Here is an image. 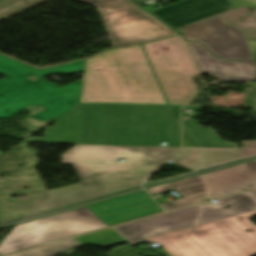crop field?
Instances as JSON below:
<instances>
[{"label": "crop field", "mask_w": 256, "mask_h": 256, "mask_svg": "<svg viewBox=\"0 0 256 256\" xmlns=\"http://www.w3.org/2000/svg\"><path fill=\"white\" fill-rule=\"evenodd\" d=\"M177 123L168 106L80 104L23 143L180 146Z\"/></svg>", "instance_id": "obj_1"}, {"label": "crop field", "mask_w": 256, "mask_h": 256, "mask_svg": "<svg viewBox=\"0 0 256 256\" xmlns=\"http://www.w3.org/2000/svg\"><path fill=\"white\" fill-rule=\"evenodd\" d=\"M180 155V147L76 145L62 154V164H72L80 182L46 192L29 211L33 215L138 187L163 162Z\"/></svg>", "instance_id": "obj_2"}, {"label": "crop field", "mask_w": 256, "mask_h": 256, "mask_svg": "<svg viewBox=\"0 0 256 256\" xmlns=\"http://www.w3.org/2000/svg\"><path fill=\"white\" fill-rule=\"evenodd\" d=\"M80 102L167 104L140 44L85 60Z\"/></svg>", "instance_id": "obj_3"}, {"label": "crop field", "mask_w": 256, "mask_h": 256, "mask_svg": "<svg viewBox=\"0 0 256 256\" xmlns=\"http://www.w3.org/2000/svg\"><path fill=\"white\" fill-rule=\"evenodd\" d=\"M83 66L84 61H79L38 71L0 55V73L8 76L0 80V119L18 115L19 110L30 105L46 109L31 116L38 120L63 115L79 104L82 79L60 88L55 83H48L43 76L54 73L70 75L82 72ZM32 75L38 76L39 81L27 80Z\"/></svg>", "instance_id": "obj_4"}, {"label": "crop field", "mask_w": 256, "mask_h": 256, "mask_svg": "<svg viewBox=\"0 0 256 256\" xmlns=\"http://www.w3.org/2000/svg\"><path fill=\"white\" fill-rule=\"evenodd\" d=\"M252 215L256 211L145 241H156L172 256H254L256 226L248 220Z\"/></svg>", "instance_id": "obj_5"}, {"label": "crop field", "mask_w": 256, "mask_h": 256, "mask_svg": "<svg viewBox=\"0 0 256 256\" xmlns=\"http://www.w3.org/2000/svg\"><path fill=\"white\" fill-rule=\"evenodd\" d=\"M169 104L185 105L198 91L199 72L181 35L142 44Z\"/></svg>", "instance_id": "obj_6"}, {"label": "crop field", "mask_w": 256, "mask_h": 256, "mask_svg": "<svg viewBox=\"0 0 256 256\" xmlns=\"http://www.w3.org/2000/svg\"><path fill=\"white\" fill-rule=\"evenodd\" d=\"M107 227L85 207L18 224L0 243V254Z\"/></svg>", "instance_id": "obj_7"}, {"label": "crop field", "mask_w": 256, "mask_h": 256, "mask_svg": "<svg viewBox=\"0 0 256 256\" xmlns=\"http://www.w3.org/2000/svg\"><path fill=\"white\" fill-rule=\"evenodd\" d=\"M82 1L99 8L115 48L177 35L129 0Z\"/></svg>", "instance_id": "obj_8"}, {"label": "crop field", "mask_w": 256, "mask_h": 256, "mask_svg": "<svg viewBox=\"0 0 256 256\" xmlns=\"http://www.w3.org/2000/svg\"><path fill=\"white\" fill-rule=\"evenodd\" d=\"M181 29L185 39L200 41L220 59L246 60L253 57L241 29L222 23L218 15Z\"/></svg>", "instance_id": "obj_9"}, {"label": "crop field", "mask_w": 256, "mask_h": 256, "mask_svg": "<svg viewBox=\"0 0 256 256\" xmlns=\"http://www.w3.org/2000/svg\"><path fill=\"white\" fill-rule=\"evenodd\" d=\"M202 205L115 227L114 229L130 243L152 236L181 230L195 225Z\"/></svg>", "instance_id": "obj_10"}, {"label": "crop field", "mask_w": 256, "mask_h": 256, "mask_svg": "<svg viewBox=\"0 0 256 256\" xmlns=\"http://www.w3.org/2000/svg\"><path fill=\"white\" fill-rule=\"evenodd\" d=\"M232 9L227 0H183L150 12L178 33L180 27Z\"/></svg>", "instance_id": "obj_11"}, {"label": "crop field", "mask_w": 256, "mask_h": 256, "mask_svg": "<svg viewBox=\"0 0 256 256\" xmlns=\"http://www.w3.org/2000/svg\"><path fill=\"white\" fill-rule=\"evenodd\" d=\"M86 208L108 226L162 211L145 191Z\"/></svg>", "instance_id": "obj_12"}, {"label": "crop field", "mask_w": 256, "mask_h": 256, "mask_svg": "<svg viewBox=\"0 0 256 256\" xmlns=\"http://www.w3.org/2000/svg\"><path fill=\"white\" fill-rule=\"evenodd\" d=\"M201 74H218L221 82L256 81V67L252 60L226 62L215 58L197 42H187Z\"/></svg>", "instance_id": "obj_13"}, {"label": "crop field", "mask_w": 256, "mask_h": 256, "mask_svg": "<svg viewBox=\"0 0 256 256\" xmlns=\"http://www.w3.org/2000/svg\"><path fill=\"white\" fill-rule=\"evenodd\" d=\"M202 177L210 189L207 199L239 192L242 189H247L248 186L245 163L202 174Z\"/></svg>", "instance_id": "obj_14"}, {"label": "crop field", "mask_w": 256, "mask_h": 256, "mask_svg": "<svg viewBox=\"0 0 256 256\" xmlns=\"http://www.w3.org/2000/svg\"><path fill=\"white\" fill-rule=\"evenodd\" d=\"M216 202V204L208 202L203 205L196 225L256 210V201L247 193L223 198ZM227 205L232 207L225 208Z\"/></svg>", "instance_id": "obj_15"}, {"label": "crop field", "mask_w": 256, "mask_h": 256, "mask_svg": "<svg viewBox=\"0 0 256 256\" xmlns=\"http://www.w3.org/2000/svg\"><path fill=\"white\" fill-rule=\"evenodd\" d=\"M184 156L174 163L192 171L237 159H241L239 149L183 148Z\"/></svg>", "instance_id": "obj_16"}, {"label": "crop field", "mask_w": 256, "mask_h": 256, "mask_svg": "<svg viewBox=\"0 0 256 256\" xmlns=\"http://www.w3.org/2000/svg\"><path fill=\"white\" fill-rule=\"evenodd\" d=\"M174 189L184 198L162 203L166 211L206 199L208 188L201 175L147 190L151 195Z\"/></svg>", "instance_id": "obj_17"}, {"label": "crop field", "mask_w": 256, "mask_h": 256, "mask_svg": "<svg viewBox=\"0 0 256 256\" xmlns=\"http://www.w3.org/2000/svg\"><path fill=\"white\" fill-rule=\"evenodd\" d=\"M182 126L201 147L238 148L235 144L222 141L211 129H202L192 118L182 120Z\"/></svg>", "instance_id": "obj_18"}, {"label": "crop field", "mask_w": 256, "mask_h": 256, "mask_svg": "<svg viewBox=\"0 0 256 256\" xmlns=\"http://www.w3.org/2000/svg\"><path fill=\"white\" fill-rule=\"evenodd\" d=\"M81 245L78 241L73 238L69 240H65L62 242H58L55 244L47 245L44 247L36 248L33 250L9 255V256H56V254L60 251L80 247Z\"/></svg>", "instance_id": "obj_19"}, {"label": "crop field", "mask_w": 256, "mask_h": 256, "mask_svg": "<svg viewBox=\"0 0 256 256\" xmlns=\"http://www.w3.org/2000/svg\"><path fill=\"white\" fill-rule=\"evenodd\" d=\"M76 239L79 241V243L82 246L90 244V245H99V246L107 247V246L125 242L111 229L77 237Z\"/></svg>", "instance_id": "obj_20"}, {"label": "crop field", "mask_w": 256, "mask_h": 256, "mask_svg": "<svg viewBox=\"0 0 256 256\" xmlns=\"http://www.w3.org/2000/svg\"><path fill=\"white\" fill-rule=\"evenodd\" d=\"M231 5L233 6V8H237V7H242V6H247V7H255L256 8V0H228ZM249 47L251 49V52L253 54L254 57H256V40H250V39H246Z\"/></svg>", "instance_id": "obj_21"}, {"label": "crop field", "mask_w": 256, "mask_h": 256, "mask_svg": "<svg viewBox=\"0 0 256 256\" xmlns=\"http://www.w3.org/2000/svg\"><path fill=\"white\" fill-rule=\"evenodd\" d=\"M240 153L242 158L256 155V141H243V146L240 149Z\"/></svg>", "instance_id": "obj_22"}, {"label": "crop field", "mask_w": 256, "mask_h": 256, "mask_svg": "<svg viewBox=\"0 0 256 256\" xmlns=\"http://www.w3.org/2000/svg\"><path fill=\"white\" fill-rule=\"evenodd\" d=\"M246 165L249 177L248 189L256 188V160L247 162Z\"/></svg>", "instance_id": "obj_23"}, {"label": "crop field", "mask_w": 256, "mask_h": 256, "mask_svg": "<svg viewBox=\"0 0 256 256\" xmlns=\"http://www.w3.org/2000/svg\"><path fill=\"white\" fill-rule=\"evenodd\" d=\"M183 147H199L194 140L182 129Z\"/></svg>", "instance_id": "obj_24"}, {"label": "crop field", "mask_w": 256, "mask_h": 256, "mask_svg": "<svg viewBox=\"0 0 256 256\" xmlns=\"http://www.w3.org/2000/svg\"><path fill=\"white\" fill-rule=\"evenodd\" d=\"M172 110L173 115L177 118L179 121V107H170Z\"/></svg>", "instance_id": "obj_25"}, {"label": "crop field", "mask_w": 256, "mask_h": 256, "mask_svg": "<svg viewBox=\"0 0 256 256\" xmlns=\"http://www.w3.org/2000/svg\"><path fill=\"white\" fill-rule=\"evenodd\" d=\"M254 200H256V191L248 193Z\"/></svg>", "instance_id": "obj_26"}, {"label": "crop field", "mask_w": 256, "mask_h": 256, "mask_svg": "<svg viewBox=\"0 0 256 256\" xmlns=\"http://www.w3.org/2000/svg\"><path fill=\"white\" fill-rule=\"evenodd\" d=\"M201 107L185 106L183 109H200Z\"/></svg>", "instance_id": "obj_27"}, {"label": "crop field", "mask_w": 256, "mask_h": 256, "mask_svg": "<svg viewBox=\"0 0 256 256\" xmlns=\"http://www.w3.org/2000/svg\"><path fill=\"white\" fill-rule=\"evenodd\" d=\"M3 155V153L0 151V156Z\"/></svg>", "instance_id": "obj_28"}, {"label": "crop field", "mask_w": 256, "mask_h": 256, "mask_svg": "<svg viewBox=\"0 0 256 256\" xmlns=\"http://www.w3.org/2000/svg\"><path fill=\"white\" fill-rule=\"evenodd\" d=\"M256 59V58H255Z\"/></svg>", "instance_id": "obj_29"}]
</instances>
